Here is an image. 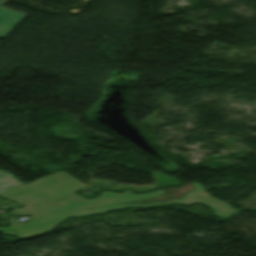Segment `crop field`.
Masks as SVG:
<instances>
[{
  "mask_svg": "<svg viewBox=\"0 0 256 256\" xmlns=\"http://www.w3.org/2000/svg\"><path fill=\"white\" fill-rule=\"evenodd\" d=\"M174 189L176 188L163 189L144 195H134L130 193V190H125L122 194L102 192L101 195L94 200H86L83 197L75 194L69 198L64 199L58 204L37 208H25L17 211L16 215H29L32 218L25 224H21L17 222L16 219L10 218L8 219L9 226L7 228H0V232L6 235L16 236L20 239H26L30 237L45 235L56 225L70 217L98 214L108 210L125 207H150L170 203L190 204L194 202H200L210 207L214 215L222 219H226L233 212L239 211L230 207L228 204L210 196L197 183L187 184L177 189L174 194L169 197L80 210L84 208L167 195L172 193Z\"/></svg>",
  "mask_w": 256,
  "mask_h": 256,
  "instance_id": "1",
  "label": "crop field"
},
{
  "mask_svg": "<svg viewBox=\"0 0 256 256\" xmlns=\"http://www.w3.org/2000/svg\"><path fill=\"white\" fill-rule=\"evenodd\" d=\"M5 3L7 1H0V38L5 37L14 28L13 26L26 16V14L3 8Z\"/></svg>",
  "mask_w": 256,
  "mask_h": 256,
  "instance_id": "3",
  "label": "crop field"
},
{
  "mask_svg": "<svg viewBox=\"0 0 256 256\" xmlns=\"http://www.w3.org/2000/svg\"><path fill=\"white\" fill-rule=\"evenodd\" d=\"M86 186V184L60 171L33 183L2 193L0 197L19 202L25 206H35L57 202Z\"/></svg>",
  "mask_w": 256,
  "mask_h": 256,
  "instance_id": "2",
  "label": "crop field"
},
{
  "mask_svg": "<svg viewBox=\"0 0 256 256\" xmlns=\"http://www.w3.org/2000/svg\"><path fill=\"white\" fill-rule=\"evenodd\" d=\"M22 185L13 175L0 170V193Z\"/></svg>",
  "mask_w": 256,
  "mask_h": 256,
  "instance_id": "4",
  "label": "crop field"
}]
</instances>
